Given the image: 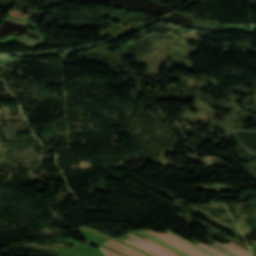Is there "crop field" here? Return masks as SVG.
I'll list each match as a JSON object with an SVG mask.
<instances>
[{
	"instance_id": "1",
	"label": "crop field",
	"mask_w": 256,
	"mask_h": 256,
	"mask_svg": "<svg viewBox=\"0 0 256 256\" xmlns=\"http://www.w3.org/2000/svg\"><path fill=\"white\" fill-rule=\"evenodd\" d=\"M130 235L131 237L125 241L127 243H130L154 256H172L170 254H168L167 252L147 243L146 241L134 236V235H131V234H128Z\"/></svg>"
},
{
	"instance_id": "2",
	"label": "crop field",
	"mask_w": 256,
	"mask_h": 256,
	"mask_svg": "<svg viewBox=\"0 0 256 256\" xmlns=\"http://www.w3.org/2000/svg\"><path fill=\"white\" fill-rule=\"evenodd\" d=\"M150 231H152L153 233H155V234H157V235H159V236H161V237L171 241L172 243H174V244H176V245H178V246L188 250L189 252H191V253H193V254H195L197 256H210V255L200 251L199 249L193 247L192 245L188 244L187 242L177 238L176 236H174V235H172V234H170L168 232H167L168 235H166L164 233L159 234V233H157V232H155L153 230H150Z\"/></svg>"
},
{
	"instance_id": "3",
	"label": "crop field",
	"mask_w": 256,
	"mask_h": 256,
	"mask_svg": "<svg viewBox=\"0 0 256 256\" xmlns=\"http://www.w3.org/2000/svg\"><path fill=\"white\" fill-rule=\"evenodd\" d=\"M105 246H108V247H111V248H113V249L119 250V251H121V252H124V253L130 255V256H139V255H137V254H135V253H133V252H131V251H129V250H127V249L121 247V246L112 244V243H110V242L105 243ZM102 249H103V248H102ZM103 250L105 251L106 254H108V255H110V256H120V255H117V254H115V253H113V252H110V251H108V250H106V249H103Z\"/></svg>"
},
{
	"instance_id": "4",
	"label": "crop field",
	"mask_w": 256,
	"mask_h": 256,
	"mask_svg": "<svg viewBox=\"0 0 256 256\" xmlns=\"http://www.w3.org/2000/svg\"><path fill=\"white\" fill-rule=\"evenodd\" d=\"M224 245H226V246H228V247H230V248L236 250L237 252H239V253H241V254H243V255H245V256H250V252H248V251H246V250L240 248L239 246H237V245H235V244H233V243H231V242L228 243V244H224Z\"/></svg>"
},
{
	"instance_id": "5",
	"label": "crop field",
	"mask_w": 256,
	"mask_h": 256,
	"mask_svg": "<svg viewBox=\"0 0 256 256\" xmlns=\"http://www.w3.org/2000/svg\"><path fill=\"white\" fill-rule=\"evenodd\" d=\"M197 245L203 247L204 249H206V250H208V251H210V252H212V253H214V254H216L218 256H225V255L221 254L222 252L219 253L220 251L218 252V251H216V250H214V249H212V248H210V247H208V246H206V245H204L202 243H198Z\"/></svg>"
},
{
	"instance_id": "6",
	"label": "crop field",
	"mask_w": 256,
	"mask_h": 256,
	"mask_svg": "<svg viewBox=\"0 0 256 256\" xmlns=\"http://www.w3.org/2000/svg\"><path fill=\"white\" fill-rule=\"evenodd\" d=\"M140 231L143 232V233H145V234H147V235H149V236H151V237H153V238H155V239H157V240H159L160 242H162V243L166 244L167 246H169V247L175 249L176 251L182 253L183 255L188 256L186 253L182 252L181 250H179V249H177V248H175V247H173V246L167 244L166 242H164V241H162V240H160V239H158V238H156V237H154V236H152V235L146 233L145 231H143V230H140ZM140 231H139V232H140Z\"/></svg>"
},
{
	"instance_id": "7",
	"label": "crop field",
	"mask_w": 256,
	"mask_h": 256,
	"mask_svg": "<svg viewBox=\"0 0 256 256\" xmlns=\"http://www.w3.org/2000/svg\"><path fill=\"white\" fill-rule=\"evenodd\" d=\"M166 231H168V232H170V233H172V234L176 235L177 237H179V238H181V239H183V240L187 241L188 243H190V244L194 245L195 247L199 248L200 250H202V251H204V252H206V253H208V254H210V255H212V256H216V255H214V254H212V253H210V252H208V251H206V250H204V249H202V248L198 247L197 245H195V244H193V243L189 242L188 240H186V239L182 238L181 236H179V235H177V234H175V233L171 232L170 230H168V229H167Z\"/></svg>"
},
{
	"instance_id": "8",
	"label": "crop field",
	"mask_w": 256,
	"mask_h": 256,
	"mask_svg": "<svg viewBox=\"0 0 256 256\" xmlns=\"http://www.w3.org/2000/svg\"><path fill=\"white\" fill-rule=\"evenodd\" d=\"M144 230L147 231V232H149V233H151L152 235H154V236H156V237H158V238H160V239H162V240L168 242L167 240H165V239H163V238H161V237H159V236L153 234L152 232H150V231H148V230H146V229H144ZM168 243L171 244V245H173V246H175V247H177V248H179V249H181V250H183V251L186 252L188 255L194 256V255L190 254L189 252L185 251L184 249H182V248H180V247H178V246H176V245H174V244H172V243H170V242H168ZM183 251H182V252H183Z\"/></svg>"
},
{
	"instance_id": "9",
	"label": "crop field",
	"mask_w": 256,
	"mask_h": 256,
	"mask_svg": "<svg viewBox=\"0 0 256 256\" xmlns=\"http://www.w3.org/2000/svg\"><path fill=\"white\" fill-rule=\"evenodd\" d=\"M144 240H146L147 242H149V243H151V244H153V245H155V246H157V247H159V248H161V249L167 251L168 253H170V254H172V255H174V256H178V255L174 254L173 252L167 250L166 248H164V247H162V246H160V245H158V244H156V243H154V242H152V241H150V240H148V239H146V238H145Z\"/></svg>"
},
{
	"instance_id": "10",
	"label": "crop field",
	"mask_w": 256,
	"mask_h": 256,
	"mask_svg": "<svg viewBox=\"0 0 256 256\" xmlns=\"http://www.w3.org/2000/svg\"><path fill=\"white\" fill-rule=\"evenodd\" d=\"M110 242H113V241H110ZM113 243L118 244V245H121V246H123V247H125V248H127V249H129V250H131V251H133V252H135V253L141 255V256H145V255H143V254H141V253H139V252H137V251H135V250H133V249H131V248H128V247H126V246H124V245H122V244H119V243H116V242H113Z\"/></svg>"
},
{
	"instance_id": "11",
	"label": "crop field",
	"mask_w": 256,
	"mask_h": 256,
	"mask_svg": "<svg viewBox=\"0 0 256 256\" xmlns=\"http://www.w3.org/2000/svg\"><path fill=\"white\" fill-rule=\"evenodd\" d=\"M215 243H217V244L221 245L222 247H224V248H226V249L230 250L231 252H233V253L237 254L238 256H243V255H241V254H239V253H237V252H235V251H233V250H231V249H229V248H227V247L223 246L222 244H220V243H218V242H216V241H215Z\"/></svg>"
},
{
	"instance_id": "12",
	"label": "crop field",
	"mask_w": 256,
	"mask_h": 256,
	"mask_svg": "<svg viewBox=\"0 0 256 256\" xmlns=\"http://www.w3.org/2000/svg\"><path fill=\"white\" fill-rule=\"evenodd\" d=\"M227 253V252H226ZM229 254V253H228ZM231 255V254H230ZM233 256V255H232Z\"/></svg>"
},
{
	"instance_id": "13",
	"label": "crop field",
	"mask_w": 256,
	"mask_h": 256,
	"mask_svg": "<svg viewBox=\"0 0 256 256\" xmlns=\"http://www.w3.org/2000/svg\"><path fill=\"white\" fill-rule=\"evenodd\" d=\"M108 256V255H107Z\"/></svg>"
}]
</instances>
